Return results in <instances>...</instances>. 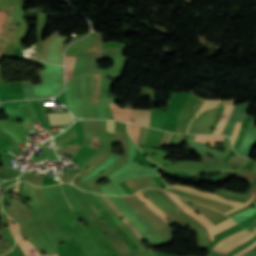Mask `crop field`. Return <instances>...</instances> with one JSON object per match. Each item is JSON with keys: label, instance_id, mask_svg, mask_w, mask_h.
<instances>
[{"label": "crop field", "instance_id": "crop-field-1", "mask_svg": "<svg viewBox=\"0 0 256 256\" xmlns=\"http://www.w3.org/2000/svg\"><path fill=\"white\" fill-rule=\"evenodd\" d=\"M168 195H170L175 201L176 203L188 214L192 215L193 217H195L196 219H198L200 222H202L207 229L210 232V237H211V241L214 240L213 235L226 230L234 225H236V223L232 222L231 219L226 220L225 222L214 226L207 218H205L201 213L199 215H197L195 213V211L193 209H190L189 207H187L180 199H178L175 195L166 192Z\"/></svg>", "mask_w": 256, "mask_h": 256}, {"label": "crop field", "instance_id": "crop-field-2", "mask_svg": "<svg viewBox=\"0 0 256 256\" xmlns=\"http://www.w3.org/2000/svg\"><path fill=\"white\" fill-rule=\"evenodd\" d=\"M250 232H248L247 230L243 229L231 236H228L224 239H222L217 245H215L213 247L212 250L218 251L220 253L226 254L229 251L233 250L234 248H236L238 245L242 244L243 242L247 241L248 239H250L252 236H254V234H252L251 236H249ZM249 236V237H248ZM248 237V238H246ZM244 238H246L245 240H243ZM243 240V241H241ZM241 241V242H240ZM238 242H240L238 245H236Z\"/></svg>", "mask_w": 256, "mask_h": 256}, {"label": "crop field", "instance_id": "crop-field-3", "mask_svg": "<svg viewBox=\"0 0 256 256\" xmlns=\"http://www.w3.org/2000/svg\"><path fill=\"white\" fill-rule=\"evenodd\" d=\"M170 188H174V189H178V190H182V191H187V192H190V193H193L195 195H198V196H202V197H205V198H208V199H212V200H216V201H220V202H224V203H228V204H231L233 206H235L236 208L232 209L231 211L229 212H226L225 214H228L236 209H239L241 207H244L246 206L247 204H249L252 200H248L246 201L244 204L242 203H238V202H234V201H227L217 195H213V194H208V193H205V192H201V191H197V190H194L192 188H188V187H183V186H178V185H173L171 186Z\"/></svg>", "mask_w": 256, "mask_h": 256}, {"label": "crop field", "instance_id": "crop-field-4", "mask_svg": "<svg viewBox=\"0 0 256 256\" xmlns=\"http://www.w3.org/2000/svg\"><path fill=\"white\" fill-rule=\"evenodd\" d=\"M52 126L67 124L72 122L70 113L48 114Z\"/></svg>", "mask_w": 256, "mask_h": 256}, {"label": "crop field", "instance_id": "crop-field-5", "mask_svg": "<svg viewBox=\"0 0 256 256\" xmlns=\"http://www.w3.org/2000/svg\"><path fill=\"white\" fill-rule=\"evenodd\" d=\"M147 114H148V110L133 109L132 123L146 126ZM149 116H150V110H149V114H148L147 126H149Z\"/></svg>", "mask_w": 256, "mask_h": 256}, {"label": "crop field", "instance_id": "crop-field-6", "mask_svg": "<svg viewBox=\"0 0 256 256\" xmlns=\"http://www.w3.org/2000/svg\"><path fill=\"white\" fill-rule=\"evenodd\" d=\"M105 202L120 216L123 215L117 208V206L106 196L101 195ZM124 216V215H123ZM129 227L130 229L141 239V241L144 239V237L139 233V231L131 224V222L124 216L122 219Z\"/></svg>", "mask_w": 256, "mask_h": 256}, {"label": "crop field", "instance_id": "crop-field-7", "mask_svg": "<svg viewBox=\"0 0 256 256\" xmlns=\"http://www.w3.org/2000/svg\"><path fill=\"white\" fill-rule=\"evenodd\" d=\"M234 106L226 107L213 134H220Z\"/></svg>", "mask_w": 256, "mask_h": 256}, {"label": "crop field", "instance_id": "crop-field-8", "mask_svg": "<svg viewBox=\"0 0 256 256\" xmlns=\"http://www.w3.org/2000/svg\"><path fill=\"white\" fill-rule=\"evenodd\" d=\"M75 59H76V56L65 55L66 80L71 78V73H72Z\"/></svg>", "mask_w": 256, "mask_h": 256}, {"label": "crop field", "instance_id": "crop-field-9", "mask_svg": "<svg viewBox=\"0 0 256 256\" xmlns=\"http://www.w3.org/2000/svg\"><path fill=\"white\" fill-rule=\"evenodd\" d=\"M137 196L142 200L145 201V204L152 210L154 211L162 220H164L165 222H167L166 219V215L163 214L158 208H156L151 202H149L147 199H145L142 195V193L139 191L138 193H136Z\"/></svg>", "mask_w": 256, "mask_h": 256}, {"label": "crop field", "instance_id": "crop-field-10", "mask_svg": "<svg viewBox=\"0 0 256 256\" xmlns=\"http://www.w3.org/2000/svg\"><path fill=\"white\" fill-rule=\"evenodd\" d=\"M139 127L138 125L128 124V133L133 138L134 142L137 144L138 135H139Z\"/></svg>", "mask_w": 256, "mask_h": 256}, {"label": "crop field", "instance_id": "crop-field-11", "mask_svg": "<svg viewBox=\"0 0 256 256\" xmlns=\"http://www.w3.org/2000/svg\"><path fill=\"white\" fill-rule=\"evenodd\" d=\"M134 161H141L144 165H157L143 156V153L137 148Z\"/></svg>", "mask_w": 256, "mask_h": 256}, {"label": "crop field", "instance_id": "crop-field-12", "mask_svg": "<svg viewBox=\"0 0 256 256\" xmlns=\"http://www.w3.org/2000/svg\"><path fill=\"white\" fill-rule=\"evenodd\" d=\"M220 102V100H204L202 106L200 107L198 113H200L201 111L208 109V108H212L218 105V103ZM197 113V114H198Z\"/></svg>", "mask_w": 256, "mask_h": 256}, {"label": "crop field", "instance_id": "crop-field-13", "mask_svg": "<svg viewBox=\"0 0 256 256\" xmlns=\"http://www.w3.org/2000/svg\"><path fill=\"white\" fill-rule=\"evenodd\" d=\"M246 129H247V128H244V127H241V128H240L239 135H238V137H237V139H236V142H235V144H234V147H233L235 151H237V149H238V147H239V145H240V143H241V141H242V139H243V137H244V134H245V132H246Z\"/></svg>", "mask_w": 256, "mask_h": 256}, {"label": "crop field", "instance_id": "crop-field-14", "mask_svg": "<svg viewBox=\"0 0 256 256\" xmlns=\"http://www.w3.org/2000/svg\"><path fill=\"white\" fill-rule=\"evenodd\" d=\"M10 219L8 218V222H9ZM11 221H13V220H11ZM9 229H10L12 235L14 236V238L16 239V237L18 235V227H17V225L16 224L13 225L11 222H9Z\"/></svg>", "mask_w": 256, "mask_h": 256}, {"label": "crop field", "instance_id": "crop-field-15", "mask_svg": "<svg viewBox=\"0 0 256 256\" xmlns=\"http://www.w3.org/2000/svg\"><path fill=\"white\" fill-rule=\"evenodd\" d=\"M241 123H242V122H240V121L238 120V122H237V124H236V126H235V128H234V131H233V133H232V135H231V138H232V140H233V144H234V141H235V139H236V137H237V135H238V132H239V128H240Z\"/></svg>", "mask_w": 256, "mask_h": 256}, {"label": "crop field", "instance_id": "crop-field-16", "mask_svg": "<svg viewBox=\"0 0 256 256\" xmlns=\"http://www.w3.org/2000/svg\"><path fill=\"white\" fill-rule=\"evenodd\" d=\"M255 246H256V241H255L252 245L248 246L247 248H245L244 250H242L241 252L237 253V254L234 255V256H240V255H242V254L248 252L249 250H251V249L254 248Z\"/></svg>", "mask_w": 256, "mask_h": 256}, {"label": "crop field", "instance_id": "crop-field-17", "mask_svg": "<svg viewBox=\"0 0 256 256\" xmlns=\"http://www.w3.org/2000/svg\"><path fill=\"white\" fill-rule=\"evenodd\" d=\"M107 121V131L114 132V121L106 120Z\"/></svg>", "mask_w": 256, "mask_h": 256}, {"label": "crop field", "instance_id": "crop-field-18", "mask_svg": "<svg viewBox=\"0 0 256 256\" xmlns=\"http://www.w3.org/2000/svg\"><path fill=\"white\" fill-rule=\"evenodd\" d=\"M250 193L252 194L251 199H254V197L256 196V189H252Z\"/></svg>", "mask_w": 256, "mask_h": 256}, {"label": "crop field", "instance_id": "crop-field-19", "mask_svg": "<svg viewBox=\"0 0 256 256\" xmlns=\"http://www.w3.org/2000/svg\"><path fill=\"white\" fill-rule=\"evenodd\" d=\"M227 101H228V100H226V101H225L224 105H226ZM223 102H224V100H221V102H220L219 106H220V105H222V104H223Z\"/></svg>", "mask_w": 256, "mask_h": 256}, {"label": "crop field", "instance_id": "crop-field-20", "mask_svg": "<svg viewBox=\"0 0 256 256\" xmlns=\"http://www.w3.org/2000/svg\"><path fill=\"white\" fill-rule=\"evenodd\" d=\"M223 109H224V107H220V108L217 109V111L222 112Z\"/></svg>", "mask_w": 256, "mask_h": 256}, {"label": "crop field", "instance_id": "crop-field-21", "mask_svg": "<svg viewBox=\"0 0 256 256\" xmlns=\"http://www.w3.org/2000/svg\"><path fill=\"white\" fill-rule=\"evenodd\" d=\"M171 135H172V133L170 134L169 139H168V141H167L166 145H168V144H169V141H170Z\"/></svg>", "mask_w": 256, "mask_h": 256}, {"label": "crop field", "instance_id": "crop-field-22", "mask_svg": "<svg viewBox=\"0 0 256 256\" xmlns=\"http://www.w3.org/2000/svg\"><path fill=\"white\" fill-rule=\"evenodd\" d=\"M20 183H21V182H18V185H17V188H16V191H15V192L18 191V188H19V186H20Z\"/></svg>", "mask_w": 256, "mask_h": 256}, {"label": "crop field", "instance_id": "crop-field-23", "mask_svg": "<svg viewBox=\"0 0 256 256\" xmlns=\"http://www.w3.org/2000/svg\"><path fill=\"white\" fill-rule=\"evenodd\" d=\"M46 256H59L58 254L46 255Z\"/></svg>", "mask_w": 256, "mask_h": 256}, {"label": "crop field", "instance_id": "crop-field-24", "mask_svg": "<svg viewBox=\"0 0 256 256\" xmlns=\"http://www.w3.org/2000/svg\"><path fill=\"white\" fill-rule=\"evenodd\" d=\"M232 101H233V100H231V101H230L229 105H231V104H232Z\"/></svg>", "mask_w": 256, "mask_h": 256}, {"label": "crop field", "instance_id": "crop-field-25", "mask_svg": "<svg viewBox=\"0 0 256 256\" xmlns=\"http://www.w3.org/2000/svg\"><path fill=\"white\" fill-rule=\"evenodd\" d=\"M254 233H256V227H255V229H254V231H253Z\"/></svg>", "mask_w": 256, "mask_h": 256}, {"label": "crop field", "instance_id": "crop-field-26", "mask_svg": "<svg viewBox=\"0 0 256 256\" xmlns=\"http://www.w3.org/2000/svg\"><path fill=\"white\" fill-rule=\"evenodd\" d=\"M154 256H162V255H158V254H156V255H154Z\"/></svg>", "mask_w": 256, "mask_h": 256}]
</instances>
